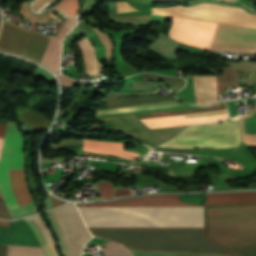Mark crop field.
Masks as SVG:
<instances>
[{
    "instance_id": "obj_38",
    "label": "crop field",
    "mask_w": 256,
    "mask_h": 256,
    "mask_svg": "<svg viewBox=\"0 0 256 256\" xmlns=\"http://www.w3.org/2000/svg\"><path fill=\"white\" fill-rule=\"evenodd\" d=\"M230 256H235V255L230 254Z\"/></svg>"
},
{
    "instance_id": "obj_34",
    "label": "crop field",
    "mask_w": 256,
    "mask_h": 256,
    "mask_svg": "<svg viewBox=\"0 0 256 256\" xmlns=\"http://www.w3.org/2000/svg\"><path fill=\"white\" fill-rule=\"evenodd\" d=\"M6 124H0V136L3 137ZM3 138H0V153L2 148Z\"/></svg>"
},
{
    "instance_id": "obj_3",
    "label": "crop field",
    "mask_w": 256,
    "mask_h": 256,
    "mask_svg": "<svg viewBox=\"0 0 256 256\" xmlns=\"http://www.w3.org/2000/svg\"><path fill=\"white\" fill-rule=\"evenodd\" d=\"M81 209L90 227H201L200 207Z\"/></svg>"
},
{
    "instance_id": "obj_33",
    "label": "crop field",
    "mask_w": 256,
    "mask_h": 256,
    "mask_svg": "<svg viewBox=\"0 0 256 256\" xmlns=\"http://www.w3.org/2000/svg\"><path fill=\"white\" fill-rule=\"evenodd\" d=\"M224 63H228L230 65H235V66H243V67H249V68L256 69V63H232V62H224Z\"/></svg>"
},
{
    "instance_id": "obj_28",
    "label": "crop field",
    "mask_w": 256,
    "mask_h": 256,
    "mask_svg": "<svg viewBox=\"0 0 256 256\" xmlns=\"http://www.w3.org/2000/svg\"><path fill=\"white\" fill-rule=\"evenodd\" d=\"M98 186L102 198H111L113 185L109 183H98Z\"/></svg>"
},
{
    "instance_id": "obj_5",
    "label": "crop field",
    "mask_w": 256,
    "mask_h": 256,
    "mask_svg": "<svg viewBox=\"0 0 256 256\" xmlns=\"http://www.w3.org/2000/svg\"><path fill=\"white\" fill-rule=\"evenodd\" d=\"M240 129L238 120L223 123L191 126L176 137L159 147L192 148L213 147L225 148L238 146Z\"/></svg>"
},
{
    "instance_id": "obj_22",
    "label": "crop field",
    "mask_w": 256,
    "mask_h": 256,
    "mask_svg": "<svg viewBox=\"0 0 256 256\" xmlns=\"http://www.w3.org/2000/svg\"><path fill=\"white\" fill-rule=\"evenodd\" d=\"M102 247L106 248L102 249ZM100 248L105 256H132L126 248L113 242H107L100 245Z\"/></svg>"
},
{
    "instance_id": "obj_21",
    "label": "crop field",
    "mask_w": 256,
    "mask_h": 256,
    "mask_svg": "<svg viewBox=\"0 0 256 256\" xmlns=\"http://www.w3.org/2000/svg\"><path fill=\"white\" fill-rule=\"evenodd\" d=\"M178 43L161 34L150 49L167 58H176Z\"/></svg>"
},
{
    "instance_id": "obj_4",
    "label": "crop field",
    "mask_w": 256,
    "mask_h": 256,
    "mask_svg": "<svg viewBox=\"0 0 256 256\" xmlns=\"http://www.w3.org/2000/svg\"><path fill=\"white\" fill-rule=\"evenodd\" d=\"M23 155L24 144L18 127L15 123L8 122L0 158V196L7 209L32 202L27 192L24 170L9 171L19 205L8 172V170L23 169ZM1 201L0 218L11 219Z\"/></svg>"
},
{
    "instance_id": "obj_10",
    "label": "crop field",
    "mask_w": 256,
    "mask_h": 256,
    "mask_svg": "<svg viewBox=\"0 0 256 256\" xmlns=\"http://www.w3.org/2000/svg\"><path fill=\"white\" fill-rule=\"evenodd\" d=\"M226 109L224 103H220L215 107L212 108H192V109H183V110H175V111H159V112H151V113H144V114H137L136 116L140 119L145 118H153V117H162V116H171V115H179V114H188V113H196V112H205V111H214V110H222ZM224 111V110H222ZM218 112V111H214ZM205 113H212V112H205ZM196 114H203V113H196ZM193 115V114H188ZM180 116H171V117H162V118H153V119H145L142 120L146 124H148L152 129L157 128H165V127H173V126H181V125H189V124H200L204 122H215L227 119L228 113L225 114H217V115H209V116H201V117H193V118H185L180 119Z\"/></svg>"
},
{
    "instance_id": "obj_26",
    "label": "crop field",
    "mask_w": 256,
    "mask_h": 256,
    "mask_svg": "<svg viewBox=\"0 0 256 256\" xmlns=\"http://www.w3.org/2000/svg\"><path fill=\"white\" fill-rule=\"evenodd\" d=\"M57 7L69 15H75L79 8V4L78 0H63Z\"/></svg>"
},
{
    "instance_id": "obj_15",
    "label": "crop field",
    "mask_w": 256,
    "mask_h": 256,
    "mask_svg": "<svg viewBox=\"0 0 256 256\" xmlns=\"http://www.w3.org/2000/svg\"><path fill=\"white\" fill-rule=\"evenodd\" d=\"M29 31L11 22H4L0 36V50L20 55Z\"/></svg>"
},
{
    "instance_id": "obj_37",
    "label": "crop field",
    "mask_w": 256,
    "mask_h": 256,
    "mask_svg": "<svg viewBox=\"0 0 256 256\" xmlns=\"http://www.w3.org/2000/svg\"><path fill=\"white\" fill-rule=\"evenodd\" d=\"M225 1H229V2H235V0H225Z\"/></svg>"
},
{
    "instance_id": "obj_30",
    "label": "crop field",
    "mask_w": 256,
    "mask_h": 256,
    "mask_svg": "<svg viewBox=\"0 0 256 256\" xmlns=\"http://www.w3.org/2000/svg\"><path fill=\"white\" fill-rule=\"evenodd\" d=\"M192 149H166V148H155L153 151H166L174 153L190 154Z\"/></svg>"
},
{
    "instance_id": "obj_9",
    "label": "crop field",
    "mask_w": 256,
    "mask_h": 256,
    "mask_svg": "<svg viewBox=\"0 0 256 256\" xmlns=\"http://www.w3.org/2000/svg\"><path fill=\"white\" fill-rule=\"evenodd\" d=\"M68 245L69 256H80L83 245L91 238L75 206L69 203L52 211Z\"/></svg>"
},
{
    "instance_id": "obj_8",
    "label": "crop field",
    "mask_w": 256,
    "mask_h": 256,
    "mask_svg": "<svg viewBox=\"0 0 256 256\" xmlns=\"http://www.w3.org/2000/svg\"><path fill=\"white\" fill-rule=\"evenodd\" d=\"M77 23V18H67L65 23L59 30L56 36L49 35L31 30L29 37L25 43L23 51L20 56L27 59L34 60L39 63L41 55L44 51L46 43L48 44L45 48L43 56L40 63L50 68L52 71H57L59 73V58H60V48L61 41L66 35V33ZM56 72V73H57Z\"/></svg>"
},
{
    "instance_id": "obj_27",
    "label": "crop field",
    "mask_w": 256,
    "mask_h": 256,
    "mask_svg": "<svg viewBox=\"0 0 256 256\" xmlns=\"http://www.w3.org/2000/svg\"><path fill=\"white\" fill-rule=\"evenodd\" d=\"M143 77L144 79H161L179 88L183 87V85L185 84L184 79H181V78H169V77L156 76L151 74H143Z\"/></svg>"
},
{
    "instance_id": "obj_14",
    "label": "crop field",
    "mask_w": 256,
    "mask_h": 256,
    "mask_svg": "<svg viewBox=\"0 0 256 256\" xmlns=\"http://www.w3.org/2000/svg\"><path fill=\"white\" fill-rule=\"evenodd\" d=\"M180 195H152L109 203L78 204V207L199 206L178 201Z\"/></svg>"
},
{
    "instance_id": "obj_23",
    "label": "crop field",
    "mask_w": 256,
    "mask_h": 256,
    "mask_svg": "<svg viewBox=\"0 0 256 256\" xmlns=\"http://www.w3.org/2000/svg\"><path fill=\"white\" fill-rule=\"evenodd\" d=\"M21 120L31 124L34 127H47L49 123V121H47L42 116L28 110H26V112L23 114Z\"/></svg>"
},
{
    "instance_id": "obj_2",
    "label": "crop field",
    "mask_w": 256,
    "mask_h": 256,
    "mask_svg": "<svg viewBox=\"0 0 256 256\" xmlns=\"http://www.w3.org/2000/svg\"><path fill=\"white\" fill-rule=\"evenodd\" d=\"M92 235L126 247L175 253L228 256L230 253L204 237V228H88ZM129 249L134 256H213L160 253Z\"/></svg>"
},
{
    "instance_id": "obj_29",
    "label": "crop field",
    "mask_w": 256,
    "mask_h": 256,
    "mask_svg": "<svg viewBox=\"0 0 256 256\" xmlns=\"http://www.w3.org/2000/svg\"><path fill=\"white\" fill-rule=\"evenodd\" d=\"M0 226L9 228V222L0 220ZM3 227H0V243L7 245L9 229Z\"/></svg>"
},
{
    "instance_id": "obj_16",
    "label": "crop field",
    "mask_w": 256,
    "mask_h": 256,
    "mask_svg": "<svg viewBox=\"0 0 256 256\" xmlns=\"http://www.w3.org/2000/svg\"><path fill=\"white\" fill-rule=\"evenodd\" d=\"M8 244L41 247L24 219L11 222Z\"/></svg>"
},
{
    "instance_id": "obj_36",
    "label": "crop field",
    "mask_w": 256,
    "mask_h": 256,
    "mask_svg": "<svg viewBox=\"0 0 256 256\" xmlns=\"http://www.w3.org/2000/svg\"><path fill=\"white\" fill-rule=\"evenodd\" d=\"M7 247L0 245V256H6Z\"/></svg>"
},
{
    "instance_id": "obj_17",
    "label": "crop field",
    "mask_w": 256,
    "mask_h": 256,
    "mask_svg": "<svg viewBox=\"0 0 256 256\" xmlns=\"http://www.w3.org/2000/svg\"><path fill=\"white\" fill-rule=\"evenodd\" d=\"M124 143L118 142H102V141H90L84 140L82 150L85 151H92V152H99L106 155L117 156L127 159H133L129 157H125L123 155L136 157L138 153L127 152L121 149Z\"/></svg>"
},
{
    "instance_id": "obj_20",
    "label": "crop field",
    "mask_w": 256,
    "mask_h": 256,
    "mask_svg": "<svg viewBox=\"0 0 256 256\" xmlns=\"http://www.w3.org/2000/svg\"><path fill=\"white\" fill-rule=\"evenodd\" d=\"M240 119L242 140L247 144L256 145V107L253 113Z\"/></svg>"
},
{
    "instance_id": "obj_12",
    "label": "crop field",
    "mask_w": 256,
    "mask_h": 256,
    "mask_svg": "<svg viewBox=\"0 0 256 256\" xmlns=\"http://www.w3.org/2000/svg\"><path fill=\"white\" fill-rule=\"evenodd\" d=\"M170 18L172 21L170 37L180 42L208 49L217 24Z\"/></svg>"
},
{
    "instance_id": "obj_13",
    "label": "crop field",
    "mask_w": 256,
    "mask_h": 256,
    "mask_svg": "<svg viewBox=\"0 0 256 256\" xmlns=\"http://www.w3.org/2000/svg\"><path fill=\"white\" fill-rule=\"evenodd\" d=\"M169 100L177 101V99L170 98V97L138 96V97L113 98L110 100H106L105 102L107 104V107H111V106H119V105H129V104H139V103H149V102H159V101H169ZM175 101L103 108V109H97L96 114L104 115V114L121 113V112L158 108V107H165V106H172V105H180Z\"/></svg>"
},
{
    "instance_id": "obj_19",
    "label": "crop field",
    "mask_w": 256,
    "mask_h": 256,
    "mask_svg": "<svg viewBox=\"0 0 256 256\" xmlns=\"http://www.w3.org/2000/svg\"><path fill=\"white\" fill-rule=\"evenodd\" d=\"M84 58L85 66H86V72L92 76L96 73H99L103 71L100 63L98 62L95 54H94V48L89 43L87 38L84 37L82 41L77 42Z\"/></svg>"
},
{
    "instance_id": "obj_11",
    "label": "crop field",
    "mask_w": 256,
    "mask_h": 256,
    "mask_svg": "<svg viewBox=\"0 0 256 256\" xmlns=\"http://www.w3.org/2000/svg\"><path fill=\"white\" fill-rule=\"evenodd\" d=\"M212 42L256 45V29L218 24ZM213 43L210 50L255 53L256 46ZM210 44V46H211Z\"/></svg>"
},
{
    "instance_id": "obj_18",
    "label": "crop field",
    "mask_w": 256,
    "mask_h": 256,
    "mask_svg": "<svg viewBox=\"0 0 256 256\" xmlns=\"http://www.w3.org/2000/svg\"><path fill=\"white\" fill-rule=\"evenodd\" d=\"M38 238L46 256H57L54 242L39 215L25 218Z\"/></svg>"
},
{
    "instance_id": "obj_32",
    "label": "crop field",
    "mask_w": 256,
    "mask_h": 256,
    "mask_svg": "<svg viewBox=\"0 0 256 256\" xmlns=\"http://www.w3.org/2000/svg\"><path fill=\"white\" fill-rule=\"evenodd\" d=\"M58 78L60 80V83L65 86L71 87L75 83L74 81H72L64 76H61V75H59Z\"/></svg>"
},
{
    "instance_id": "obj_1",
    "label": "crop field",
    "mask_w": 256,
    "mask_h": 256,
    "mask_svg": "<svg viewBox=\"0 0 256 256\" xmlns=\"http://www.w3.org/2000/svg\"><path fill=\"white\" fill-rule=\"evenodd\" d=\"M256 203V192L207 194L204 205ZM205 237L237 256H256V204L204 206Z\"/></svg>"
},
{
    "instance_id": "obj_6",
    "label": "crop field",
    "mask_w": 256,
    "mask_h": 256,
    "mask_svg": "<svg viewBox=\"0 0 256 256\" xmlns=\"http://www.w3.org/2000/svg\"><path fill=\"white\" fill-rule=\"evenodd\" d=\"M151 10L152 14L156 15L256 28V14L249 13L239 7L200 3L189 7L151 8Z\"/></svg>"
},
{
    "instance_id": "obj_31",
    "label": "crop field",
    "mask_w": 256,
    "mask_h": 256,
    "mask_svg": "<svg viewBox=\"0 0 256 256\" xmlns=\"http://www.w3.org/2000/svg\"><path fill=\"white\" fill-rule=\"evenodd\" d=\"M127 195H133L130 188L118 189V190H115L114 198L121 197V196H127Z\"/></svg>"
},
{
    "instance_id": "obj_24",
    "label": "crop field",
    "mask_w": 256,
    "mask_h": 256,
    "mask_svg": "<svg viewBox=\"0 0 256 256\" xmlns=\"http://www.w3.org/2000/svg\"><path fill=\"white\" fill-rule=\"evenodd\" d=\"M11 216L13 219L16 218H20V217H24L33 213H36V209L34 204H28V205H24L18 208H14V209H10L9 210Z\"/></svg>"
},
{
    "instance_id": "obj_35",
    "label": "crop field",
    "mask_w": 256,
    "mask_h": 256,
    "mask_svg": "<svg viewBox=\"0 0 256 256\" xmlns=\"http://www.w3.org/2000/svg\"><path fill=\"white\" fill-rule=\"evenodd\" d=\"M51 197V200H52V203H53V206L54 207H56V206H58V205H60V204H65L66 202H64V201H59V200H57L56 198H54V197H52V196H50Z\"/></svg>"
},
{
    "instance_id": "obj_7",
    "label": "crop field",
    "mask_w": 256,
    "mask_h": 256,
    "mask_svg": "<svg viewBox=\"0 0 256 256\" xmlns=\"http://www.w3.org/2000/svg\"><path fill=\"white\" fill-rule=\"evenodd\" d=\"M225 74L218 76V91L219 96L227 89L238 85L237 73L227 68ZM188 80V85L178 92L177 96L186 102L199 105H207L217 99V76H189L185 77Z\"/></svg>"
},
{
    "instance_id": "obj_25",
    "label": "crop field",
    "mask_w": 256,
    "mask_h": 256,
    "mask_svg": "<svg viewBox=\"0 0 256 256\" xmlns=\"http://www.w3.org/2000/svg\"><path fill=\"white\" fill-rule=\"evenodd\" d=\"M93 29V28H92ZM96 33V35L98 36L99 40L101 41L104 49H105V52H106V56H107V59H112L113 57V52H112V42L110 40V38L108 37L107 34H104V33H101L99 30L97 29H93Z\"/></svg>"
}]
</instances>
